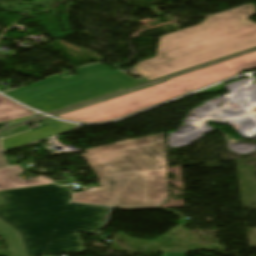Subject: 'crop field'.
Masks as SVG:
<instances>
[{
	"mask_svg": "<svg viewBox=\"0 0 256 256\" xmlns=\"http://www.w3.org/2000/svg\"><path fill=\"white\" fill-rule=\"evenodd\" d=\"M82 157L103 174L101 188L72 201L119 208L156 207L168 198L163 133L86 149Z\"/></svg>",
	"mask_w": 256,
	"mask_h": 256,
	"instance_id": "obj_1",
	"label": "crop field"
},
{
	"mask_svg": "<svg viewBox=\"0 0 256 256\" xmlns=\"http://www.w3.org/2000/svg\"><path fill=\"white\" fill-rule=\"evenodd\" d=\"M0 218L19 230L29 256L85 251L78 231L96 233L109 208L69 203L71 194L56 185L0 192ZM47 233L40 240L28 234Z\"/></svg>",
	"mask_w": 256,
	"mask_h": 256,
	"instance_id": "obj_2",
	"label": "crop field"
},
{
	"mask_svg": "<svg viewBox=\"0 0 256 256\" xmlns=\"http://www.w3.org/2000/svg\"><path fill=\"white\" fill-rule=\"evenodd\" d=\"M255 13L247 5L209 17L201 25L161 38L158 56L133 68L151 80L256 46Z\"/></svg>",
	"mask_w": 256,
	"mask_h": 256,
	"instance_id": "obj_3",
	"label": "crop field"
},
{
	"mask_svg": "<svg viewBox=\"0 0 256 256\" xmlns=\"http://www.w3.org/2000/svg\"><path fill=\"white\" fill-rule=\"evenodd\" d=\"M255 67L256 51L58 117L82 122L110 121Z\"/></svg>",
	"mask_w": 256,
	"mask_h": 256,
	"instance_id": "obj_4",
	"label": "crop field"
},
{
	"mask_svg": "<svg viewBox=\"0 0 256 256\" xmlns=\"http://www.w3.org/2000/svg\"><path fill=\"white\" fill-rule=\"evenodd\" d=\"M78 76H60L16 89L6 95L46 113L136 84L119 71L102 64L75 70Z\"/></svg>",
	"mask_w": 256,
	"mask_h": 256,
	"instance_id": "obj_5",
	"label": "crop field"
},
{
	"mask_svg": "<svg viewBox=\"0 0 256 256\" xmlns=\"http://www.w3.org/2000/svg\"><path fill=\"white\" fill-rule=\"evenodd\" d=\"M42 122L46 123L47 126L11 138L4 139L3 142L5 150L73 129L75 126L55 121L53 119L42 120Z\"/></svg>",
	"mask_w": 256,
	"mask_h": 256,
	"instance_id": "obj_6",
	"label": "crop field"
},
{
	"mask_svg": "<svg viewBox=\"0 0 256 256\" xmlns=\"http://www.w3.org/2000/svg\"><path fill=\"white\" fill-rule=\"evenodd\" d=\"M19 174L20 173H18L17 171L9 167L1 168L0 169V190L51 183L50 180L43 177H38V178L23 181L21 178L17 176Z\"/></svg>",
	"mask_w": 256,
	"mask_h": 256,
	"instance_id": "obj_7",
	"label": "crop field"
},
{
	"mask_svg": "<svg viewBox=\"0 0 256 256\" xmlns=\"http://www.w3.org/2000/svg\"><path fill=\"white\" fill-rule=\"evenodd\" d=\"M4 203L0 198V204ZM0 235L6 239L11 256H27L19 233L0 220Z\"/></svg>",
	"mask_w": 256,
	"mask_h": 256,
	"instance_id": "obj_8",
	"label": "crop field"
},
{
	"mask_svg": "<svg viewBox=\"0 0 256 256\" xmlns=\"http://www.w3.org/2000/svg\"><path fill=\"white\" fill-rule=\"evenodd\" d=\"M33 114V112L0 95V122Z\"/></svg>",
	"mask_w": 256,
	"mask_h": 256,
	"instance_id": "obj_9",
	"label": "crop field"
},
{
	"mask_svg": "<svg viewBox=\"0 0 256 256\" xmlns=\"http://www.w3.org/2000/svg\"><path fill=\"white\" fill-rule=\"evenodd\" d=\"M223 90H224V89H223V84H221V85H218V86H216V87L207 89V90L202 91V92H200V93H197V94L216 93V92H222Z\"/></svg>",
	"mask_w": 256,
	"mask_h": 256,
	"instance_id": "obj_10",
	"label": "crop field"
},
{
	"mask_svg": "<svg viewBox=\"0 0 256 256\" xmlns=\"http://www.w3.org/2000/svg\"><path fill=\"white\" fill-rule=\"evenodd\" d=\"M26 130H30V128H29L28 126L24 125V126L18 128V129H16V130H14V131H11V132H9V133L4 134V135H2V136H3V138H4V137L11 136V135H15V134H17V133H20V132L26 131Z\"/></svg>",
	"mask_w": 256,
	"mask_h": 256,
	"instance_id": "obj_11",
	"label": "crop field"
},
{
	"mask_svg": "<svg viewBox=\"0 0 256 256\" xmlns=\"http://www.w3.org/2000/svg\"><path fill=\"white\" fill-rule=\"evenodd\" d=\"M164 256H186V252L164 253Z\"/></svg>",
	"mask_w": 256,
	"mask_h": 256,
	"instance_id": "obj_12",
	"label": "crop field"
},
{
	"mask_svg": "<svg viewBox=\"0 0 256 256\" xmlns=\"http://www.w3.org/2000/svg\"><path fill=\"white\" fill-rule=\"evenodd\" d=\"M6 166L4 163V159H3V155H2V151H1V146H0V167H4Z\"/></svg>",
	"mask_w": 256,
	"mask_h": 256,
	"instance_id": "obj_13",
	"label": "crop field"
},
{
	"mask_svg": "<svg viewBox=\"0 0 256 256\" xmlns=\"http://www.w3.org/2000/svg\"><path fill=\"white\" fill-rule=\"evenodd\" d=\"M31 236H34V239H40V238L46 237L47 235L46 234H33V235H30V237Z\"/></svg>",
	"mask_w": 256,
	"mask_h": 256,
	"instance_id": "obj_14",
	"label": "crop field"
}]
</instances>
